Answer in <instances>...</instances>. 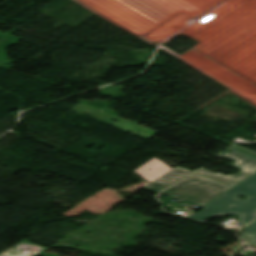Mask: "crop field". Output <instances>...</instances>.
<instances>
[{
    "label": "crop field",
    "mask_w": 256,
    "mask_h": 256,
    "mask_svg": "<svg viewBox=\"0 0 256 256\" xmlns=\"http://www.w3.org/2000/svg\"><path fill=\"white\" fill-rule=\"evenodd\" d=\"M171 169L173 168L154 157L133 172L151 183Z\"/></svg>",
    "instance_id": "crop-field-4"
},
{
    "label": "crop field",
    "mask_w": 256,
    "mask_h": 256,
    "mask_svg": "<svg viewBox=\"0 0 256 256\" xmlns=\"http://www.w3.org/2000/svg\"><path fill=\"white\" fill-rule=\"evenodd\" d=\"M240 238L249 244L256 245V220L246 227Z\"/></svg>",
    "instance_id": "crop-field-6"
},
{
    "label": "crop field",
    "mask_w": 256,
    "mask_h": 256,
    "mask_svg": "<svg viewBox=\"0 0 256 256\" xmlns=\"http://www.w3.org/2000/svg\"><path fill=\"white\" fill-rule=\"evenodd\" d=\"M237 194L249 198L241 201L236 198ZM204 207V211L188 218L205 222L212 216H224L227 213H232L240 215L242 224H248L256 217V173Z\"/></svg>",
    "instance_id": "crop-field-1"
},
{
    "label": "crop field",
    "mask_w": 256,
    "mask_h": 256,
    "mask_svg": "<svg viewBox=\"0 0 256 256\" xmlns=\"http://www.w3.org/2000/svg\"><path fill=\"white\" fill-rule=\"evenodd\" d=\"M190 173L192 172L177 167L165 174L164 176L160 177L150 185L146 186V188L152 191L160 192L169 185L173 184L174 182L178 181L179 179Z\"/></svg>",
    "instance_id": "crop-field-5"
},
{
    "label": "crop field",
    "mask_w": 256,
    "mask_h": 256,
    "mask_svg": "<svg viewBox=\"0 0 256 256\" xmlns=\"http://www.w3.org/2000/svg\"><path fill=\"white\" fill-rule=\"evenodd\" d=\"M203 177L195 173L164 193L181 198L184 202H195L204 206L232 188L207 177V180H204Z\"/></svg>",
    "instance_id": "crop-field-2"
},
{
    "label": "crop field",
    "mask_w": 256,
    "mask_h": 256,
    "mask_svg": "<svg viewBox=\"0 0 256 256\" xmlns=\"http://www.w3.org/2000/svg\"><path fill=\"white\" fill-rule=\"evenodd\" d=\"M231 149V148H230ZM232 152L224 153L219 157L231 158L236 164L232 165V167L242 170L238 174H231L226 176L222 173L215 174L204 168L200 169L197 173L207 176L209 178L215 179L232 187L236 186L252 174L256 172V157L252 156L248 153H245L241 150H238L232 147Z\"/></svg>",
    "instance_id": "crop-field-3"
},
{
    "label": "crop field",
    "mask_w": 256,
    "mask_h": 256,
    "mask_svg": "<svg viewBox=\"0 0 256 256\" xmlns=\"http://www.w3.org/2000/svg\"><path fill=\"white\" fill-rule=\"evenodd\" d=\"M234 146L239 147V148H241V149H243V150H246V151H248V152H251V153H253V154H256V151L250 150V149L245 148V147H242V146H240V145L235 144Z\"/></svg>",
    "instance_id": "crop-field-7"
}]
</instances>
